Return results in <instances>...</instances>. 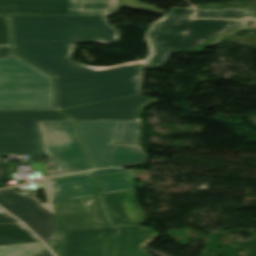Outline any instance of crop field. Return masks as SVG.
<instances>
[{
    "label": "crop field",
    "instance_id": "crop-field-11",
    "mask_svg": "<svg viewBox=\"0 0 256 256\" xmlns=\"http://www.w3.org/2000/svg\"><path fill=\"white\" fill-rule=\"evenodd\" d=\"M107 210L115 226L138 225L146 219L136 202L135 191H124L103 195Z\"/></svg>",
    "mask_w": 256,
    "mask_h": 256
},
{
    "label": "crop field",
    "instance_id": "crop-field-22",
    "mask_svg": "<svg viewBox=\"0 0 256 256\" xmlns=\"http://www.w3.org/2000/svg\"><path fill=\"white\" fill-rule=\"evenodd\" d=\"M120 171H125V170L111 168V169L96 170L94 172H95V176H98V175H102V174L116 173V172H120Z\"/></svg>",
    "mask_w": 256,
    "mask_h": 256
},
{
    "label": "crop field",
    "instance_id": "crop-field-19",
    "mask_svg": "<svg viewBox=\"0 0 256 256\" xmlns=\"http://www.w3.org/2000/svg\"><path fill=\"white\" fill-rule=\"evenodd\" d=\"M253 14L252 10H232L226 9L223 11H205L198 10L193 17H216V18H239L244 15Z\"/></svg>",
    "mask_w": 256,
    "mask_h": 256
},
{
    "label": "crop field",
    "instance_id": "crop-field-10",
    "mask_svg": "<svg viewBox=\"0 0 256 256\" xmlns=\"http://www.w3.org/2000/svg\"><path fill=\"white\" fill-rule=\"evenodd\" d=\"M75 122L92 167H106L118 121Z\"/></svg>",
    "mask_w": 256,
    "mask_h": 256
},
{
    "label": "crop field",
    "instance_id": "crop-field-24",
    "mask_svg": "<svg viewBox=\"0 0 256 256\" xmlns=\"http://www.w3.org/2000/svg\"><path fill=\"white\" fill-rule=\"evenodd\" d=\"M89 173H92V172L82 173V174H75V175L60 176V177H53V178H50V179L53 180V179H59V178H65V177H71V176H77V175H83V174H89Z\"/></svg>",
    "mask_w": 256,
    "mask_h": 256
},
{
    "label": "crop field",
    "instance_id": "crop-field-13",
    "mask_svg": "<svg viewBox=\"0 0 256 256\" xmlns=\"http://www.w3.org/2000/svg\"><path fill=\"white\" fill-rule=\"evenodd\" d=\"M0 223H19L6 213H0ZM40 242L22 224L0 225V245Z\"/></svg>",
    "mask_w": 256,
    "mask_h": 256
},
{
    "label": "crop field",
    "instance_id": "crop-field-18",
    "mask_svg": "<svg viewBox=\"0 0 256 256\" xmlns=\"http://www.w3.org/2000/svg\"><path fill=\"white\" fill-rule=\"evenodd\" d=\"M17 165H31V169L41 170L45 177H47L45 163H0V188L5 187L3 180L13 178L10 174Z\"/></svg>",
    "mask_w": 256,
    "mask_h": 256
},
{
    "label": "crop field",
    "instance_id": "crop-field-21",
    "mask_svg": "<svg viewBox=\"0 0 256 256\" xmlns=\"http://www.w3.org/2000/svg\"><path fill=\"white\" fill-rule=\"evenodd\" d=\"M121 5L128 8L139 9L160 14H163L165 12L155 8V6L139 3L138 0H121Z\"/></svg>",
    "mask_w": 256,
    "mask_h": 256
},
{
    "label": "crop field",
    "instance_id": "crop-field-15",
    "mask_svg": "<svg viewBox=\"0 0 256 256\" xmlns=\"http://www.w3.org/2000/svg\"><path fill=\"white\" fill-rule=\"evenodd\" d=\"M97 178L103 194L135 188L131 171L103 175Z\"/></svg>",
    "mask_w": 256,
    "mask_h": 256
},
{
    "label": "crop field",
    "instance_id": "crop-field-4",
    "mask_svg": "<svg viewBox=\"0 0 256 256\" xmlns=\"http://www.w3.org/2000/svg\"><path fill=\"white\" fill-rule=\"evenodd\" d=\"M71 120L55 111L0 112V154H30V162H45L38 121Z\"/></svg>",
    "mask_w": 256,
    "mask_h": 256
},
{
    "label": "crop field",
    "instance_id": "crop-field-12",
    "mask_svg": "<svg viewBox=\"0 0 256 256\" xmlns=\"http://www.w3.org/2000/svg\"><path fill=\"white\" fill-rule=\"evenodd\" d=\"M52 202L97 195L91 174L49 181Z\"/></svg>",
    "mask_w": 256,
    "mask_h": 256
},
{
    "label": "crop field",
    "instance_id": "crop-field-17",
    "mask_svg": "<svg viewBox=\"0 0 256 256\" xmlns=\"http://www.w3.org/2000/svg\"><path fill=\"white\" fill-rule=\"evenodd\" d=\"M46 247L42 243H25L0 246V256H32Z\"/></svg>",
    "mask_w": 256,
    "mask_h": 256
},
{
    "label": "crop field",
    "instance_id": "crop-field-6",
    "mask_svg": "<svg viewBox=\"0 0 256 256\" xmlns=\"http://www.w3.org/2000/svg\"><path fill=\"white\" fill-rule=\"evenodd\" d=\"M120 0H0V14L111 16Z\"/></svg>",
    "mask_w": 256,
    "mask_h": 256
},
{
    "label": "crop field",
    "instance_id": "crop-field-20",
    "mask_svg": "<svg viewBox=\"0 0 256 256\" xmlns=\"http://www.w3.org/2000/svg\"><path fill=\"white\" fill-rule=\"evenodd\" d=\"M0 58H17L9 53L6 22L0 18Z\"/></svg>",
    "mask_w": 256,
    "mask_h": 256
},
{
    "label": "crop field",
    "instance_id": "crop-field-5",
    "mask_svg": "<svg viewBox=\"0 0 256 256\" xmlns=\"http://www.w3.org/2000/svg\"><path fill=\"white\" fill-rule=\"evenodd\" d=\"M45 151L58 169L49 170L51 176L89 170L73 121L39 122Z\"/></svg>",
    "mask_w": 256,
    "mask_h": 256
},
{
    "label": "crop field",
    "instance_id": "crop-field-7",
    "mask_svg": "<svg viewBox=\"0 0 256 256\" xmlns=\"http://www.w3.org/2000/svg\"><path fill=\"white\" fill-rule=\"evenodd\" d=\"M58 241L46 242L56 256L60 253L66 229L112 226L100 196H91L52 203Z\"/></svg>",
    "mask_w": 256,
    "mask_h": 256
},
{
    "label": "crop field",
    "instance_id": "crop-field-14",
    "mask_svg": "<svg viewBox=\"0 0 256 256\" xmlns=\"http://www.w3.org/2000/svg\"><path fill=\"white\" fill-rule=\"evenodd\" d=\"M147 154L138 145L113 144L107 167H124L146 162Z\"/></svg>",
    "mask_w": 256,
    "mask_h": 256
},
{
    "label": "crop field",
    "instance_id": "crop-field-8",
    "mask_svg": "<svg viewBox=\"0 0 256 256\" xmlns=\"http://www.w3.org/2000/svg\"><path fill=\"white\" fill-rule=\"evenodd\" d=\"M47 203L42 204L34 197L23 196L13 188L0 191V206L24 222L44 241L57 240L51 206L50 187L47 179Z\"/></svg>",
    "mask_w": 256,
    "mask_h": 256
},
{
    "label": "crop field",
    "instance_id": "crop-field-23",
    "mask_svg": "<svg viewBox=\"0 0 256 256\" xmlns=\"http://www.w3.org/2000/svg\"><path fill=\"white\" fill-rule=\"evenodd\" d=\"M49 254H50V252L48 250H44V251H42V252H40V253H38L34 256H51Z\"/></svg>",
    "mask_w": 256,
    "mask_h": 256
},
{
    "label": "crop field",
    "instance_id": "crop-field-3",
    "mask_svg": "<svg viewBox=\"0 0 256 256\" xmlns=\"http://www.w3.org/2000/svg\"><path fill=\"white\" fill-rule=\"evenodd\" d=\"M2 110H52V78L20 59H0Z\"/></svg>",
    "mask_w": 256,
    "mask_h": 256
},
{
    "label": "crop field",
    "instance_id": "crop-field-2",
    "mask_svg": "<svg viewBox=\"0 0 256 256\" xmlns=\"http://www.w3.org/2000/svg\"><path fill=\"white\" fill-rule=\"evenodd\" d=\"M158 236L134 225L66 230L60 256H150L141 247Z\"/></svg>",
    "mask_w": 256,
    "mask_h": 256
},
{
    "label": "crop field",
    "instance_id": "crop-field-1",
    "mask_svg": "<svg viewBox=\"0 0 256 256\" xmlns=\"http://www.w3.org/2000/svg\"><path fill=\"white\" fill-rule=\"evenodd\" d=\"M193 9L172 8L147 35L148 60L111 68L84 67L69 56L75 42H113L117 29L106 17L0 15L9 21L12 53L55 77V109L137 96L141 69L161 65L175 50L206 44L246 28L245 20H195Z\"/></svg>",
    "mask_w": 256,
    "mask_h": 256
},
{
    "label": "crop field",
    "instance_id": "crop-field-9",
    "mask_svg": "<svg viewBox=\"0 0 256 256\" xmlns=\"http://www.w3.org/2000/svg\"><path fill=\"white\" fill-rule=\"evenodd\" d=\"M155 98L137 96L109 102L89 104L58 111L74 120H129L139 119L140 109Z\"/></svg>",
    "mask_w": 256,
    "mask_h": 256
},
{
    "label": "crop field",
    "instance_id": "crop-field-16",
    "mask_svg": "<svg viewBox=\"0 0 256 256\" xmlns=\"http://www.w3.org/2000/svg\"><path fill=\"white\" fill-rule=\"evenodd\" d=\"M139 120L119 121L114 143L138 144Z\"/></svg>",
    "mask_w": 256,
    "mask_h": 256
}]
</instances>
